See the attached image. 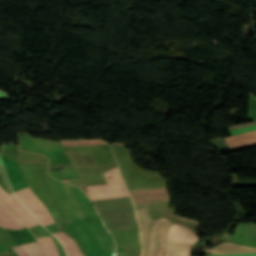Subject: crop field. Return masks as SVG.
<instances>
[{
    "label": "crop field",
    "mask_w": 256,
    "mask_h": 256,
    "mask_svg": "<svg viewBox=\"0 0 256 256\" xmlns=\"http://www.w3.org/2000/svg\"><path fill=\"white\" fill-rule=\"evenodd\" d=\"M93 203L110 231L138 226L130 197L97 200Z\"/></svg>",
    "instance_id": "crop-field-1"
},
{
    "label": "crop field",
    "mask_w": 256,
    "mask_h": 256,
    "mask_svg": "<svg viewBox=\"0 0 256 256\" xmlns=\"http://www.w3.org/2000/svg\"><path fill=\"white\" fill-rule=\"evenodd\" d=\"M136 212L142 230L143 256H153L156 246L157 231L165 218L156 221H150L145 208L137 209ZM170 224L171 223L167 219L163 221L158 232L157 247L154 256H162L165 232Z\"/></svg>",
    "instance_id": "crop-field-2"
},
{
    "label": "crop field",
    "mask_w": 256,
    "mask_h": 256,
    "mask_svg": "<svg viewBox=\"0 0 256 256\" xmlns=\"http://www.w3.org/2000/svg\"><path fill=\"white\" fill-rule=\"evenodd\" d=\"M198 236L188 227L172 223L168 233L164 256H189L190 247Z\"/></svg>",
    "instance_id": "crop-field-3"
},
{
    "label": "crop field",
    "mask_w": 256,
    "mask_h": 256,
    "mask_svg": "<svg viewBox=\"0 0 256 256\" xmlns=\"http://www.w3.org/2000/svg\"><path fill=\"white\" fill-rule=\"evenodd\" d=\"M104 176L108 184L86 187L91 200L129 196L117 166Z\"/></svg>",
    "instance_id": "crop-field-4"
},
{
    "label": "crop field",
    "mask_w": 256,
    "mask_h": 256,
    "mask_svg": "<svg viewBox=\"0 0 256 256\" xmlns=\"http://www.w3.org/2000/svg\"><path fill=\"white\" fill-rule=\"evenodd\" d=\"M11 186L16 196L26 207L40 202V200L31 192L25 179L16 182ZM28 209H30L32 213H34L37 216L42 226L54 223L52 217L50 216L49 212L44 207L42 202L28 207Z\"/></svg>",
    "instance_id": "crop-field-5"
},
{
    "label": "crop field",
    "mask_w": 256,
    "mask_h": 256,
    "mask_svg": "<svg viewBox=\"0 0 256 256\" xmlns=\"http://www.w3.org/2000/svg\"><path fill=\"white\" fill-rule=\"evenodd\" d=\"M0 164L1 159H0ZM5 195H8L7 192H5L0 187V197H3ZM0 200L5 203L28 227L37 225L36 218L34 215H32L22 204L21 202L15 197L14 193L5 196L3 198H0ZM35 218H33L28 212ZM39 223V222H38ZM40 224V223H39Z\"/></svg>",
    "instance_id": "crop-field-6"
},
{
    "label": "crop field",
    "mask_w": 256,
    "mask_h": 256,
    "mask_svg": "<svg viewBox=\"0 0 256 256\" xmlns=\"http://www.w3.org/2000/svg\"><path fill=\"white\" fill-rule=\"evenodd\" d=\"M135 206L148 201L168 200L167 187L142 190H128Z\"/></svg>",
    "instance_id": "crop-field-7"
},
{
    "label": "crop field",
    "mask_w": 256,
    "mask_h": 256,
    "mask_svg": "<svg viewBox=\"0 0 256 256\" xmlns=\"http://www.w3.org/2000/svg\"><path fill=\"white\" fill-rule=\"evenodd\" d=\"M244 252H256V248L223 242L212 249H206L204 251V253H210V254H231V253H244Z\"/></svg>",
    "instance_id": "crop-field-8"
},
{
    "label": "crop field",
    "mask_w": 256,
    "mask_h": 256,
    "mask_svg": "<svg viewBox=\"0 0 256 256\" xmlns=\"http://www.w3.org/2000/svg\"><path fill=\"white\" fill-rule=\"evenodd\" d=\"M0 222H2L7 228H11V229L25 228L23 223L1 202H0Z\"/></svg>",
    "instance_id": "crop-field-9"
},
{
    "label": "crop field",
    "mask_w": 256,
    "mask_h": 256,
    "mask_svg": "<svg viewBox=\"0 0 256 256\" xmlns=\"http://www.w3.org/2000/svg\"><path fill=\"white\" fill-rule=\"evenodd\" d=\"M226 139L230 147L254 142L256 141V130L248 133L227 137Z\"/></svg>",
    "instance_id": "crop-field-10"
},
{
    "label": "crop field",
    "mask_w": 256,
    "mask_h": 256,
    "mask_svg": "<svg viewBox=\"0 0 256 256\" xmlns=\"http://www.w3.org/2000/svg\"><path fill=\"white\" fill-rule=\"evenodd\" d=\"M27 245L29 247V250H30L32 256H41L36 242L30 243ZM27 245L23 244L21 246L13 247V250L18 256H31Z\"/></svg>",
    "instance_id": "crop-field-11"
},
{
    "label": "crop field",
    "mask_w": 256,
    "mask_h": 256,
    "mask_svg": "<svg viewBox=\"0 0 256 256\" xmlns=\"http://www.w3.org/2000/svg\"><path fill=\"white\" fill-rule=\"evenodd\" d=\"M37 240L44 256H59L50 237L38 238Z\"/></svg>",
    "instance_id": "crop-field-12"
},
{
    "label": "crop field",
    "mask_w": 256,
    "mask_h": 256,
    "mask_svg": "<svg viewBox=\"0 0 256 256\" xmlns=\"http://www.w3.org/2000/svg\"><path fill=\"white\" fill-rule=\"evenodd\" d=\"M14 245L15 243L12 237L6 231L0 228V253L7 251L6 248Z\"/></svg>",
    "instance_id": "crop-field-13"
},
{
    "label": "crop field",
    "mask_w": 256,
    "mask_h": 256,
    "mask_svg": "<svg viewBox=\"0 0 256 256\" xmlns=\"http://www.w3.org/2000/svg\"><path fill=\"white\" fill-rule=\"evenodd\" d=\"M105 142L101 141L100 139L62 141L63 145H70V146L108 144Z\"/></svg>",
    "instance_id": "crop-field-14"
},
{
    "label": "crop field",
    "mask_w": 256,
    "mask_h": 256,
    "mask_svg": "<svg viewBox=\"0 0 256 256\" xmlns=\"http://www.w3.org/2000/svg\"><path fill=\"white\" fill-rule=\"evenodd\" d=\"M256 129V124L230 131L232 135Z\"/></svg>",
    "instance_id": "crop-field-15"
},
{
    "label": "crop field",
    "mask_w": 256,
    "mask_h": 256,
    "mask_svg": "<svg viewBox=\"0 0 256 256\" xmlns=\"http://www.w3.org/2000/svg\"><path fill=\"white\" fill-rule=\"evenodd\" d=\"M253 146H256V144L255 143H251V144H246V145H241V146L233 147L231 149H232V151H235V150H239V149H243V148H247V147H253Z\"/></svg>",
    "instance_id": "crop-field-16"
},
{
    "label": "crop field",
    "mask_w": 256,
    "mask_h": 256,
    "mask_svg": "<svg viewBox=\"0 0 256 256\" xmlns=\"http://www.w3.org/2000/svg\"><path fill=\"white\" fill-rule=\"evenodd\" d=\"M254 123H256V122H252V123H248V124H242V125H237V126L229 127V129L231 130V129L239 128V127H242V126L254 124Z\"/></svg>",
    "instance_id": "crop-field-17"
},
{
    "label": "crop field",
    "mask_w": 256,
    "mask_h": 256,
    "mask_svg": "<svg viewBox=\"0 0 256 256\" xmlns=\"http://www.w3.org/2000/svg\"><path fill=\"white\" fill-rule=\"evenodd\" d=\"M177 218H180V219H184V220H187V221H190V222H193V223H195V224H198L199 225V223L198 222H195V221H193V220H190V219H187V218H185V217H182V216H176Z\"/></svg>",
    "instance_id": "crop-field-18"
},
{
    "label": "crop field",
    "mask_w": 256,
    "mask_h": 256,
    "mask_svg": "<svg viewBox=\"0 0 256 256\" xmlns=\"http://www.w3.org/2000/svg\"><path fill=\"white\" fill-rule=\"evenodd\" d=\"M8 94L0 91V97L7 98Z\"/></svg>",
    "instance_id": "crop-field-19"
},
{
    "label": "crop field",
    "mask_w": 256,
    "mask_h": 256,
    "mask_svg": "<svg viewBox=\"0 0 256 256\" xmlns=\"http://www.w3.org/2000/svg\"><path fill=\"white\" fill-rule=\"evenodd\" d=\"M0 226H2V227H4V228H6V227H5L3 224H1V223H0Z\"/></svg>",
    "instance_id": "crop-field-20"
}]
</instances>
